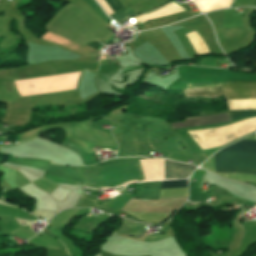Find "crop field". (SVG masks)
Instances as JSON below:
<instances>
[{"instance_id":"34b2d1b8","label":"crop field","mask_w":256,"mask_h":256,"mask_svg":"<svg viewBox=\"0 0 256 256\" xmlns=\"http://www.w3.org/2000/svg\"><path fill=\"white\" fill-rule=\"evenodd\" d=\"M230 122L228 113L218 114L205 117H196V118H186L184 121L172 123L171 128H184V127H193V126H202L210 124H219Z\"/></svg>"},{"instance_id":"f4fd0767","label":"crop field","mask_w":256,"mask_h":256,"mask_svg":"<svg viewBox=\"0 0 256 256\" xmlns=\"http://www.w3.org/2000/svg\"><path fill=\"white\" fill-rule=\"evenodd\" d=\"M187 187V179L162 182L160 189Z\"/></svg>"},{"instance_id":"3316defc","label":"crop field","mask_w":256,"mask_h":256,"mask_svg":"<svg viewBox=\"0 0 256 256\" xmlns=\"http://www.w3.org/2000/svg\"><path fill=\"white\" fill-rule=\"evenodd\" d=\"M114 129V128H113Z\"/></svg>"},{"instance_id":"412701ff","label":"crop field","mask_w":256,"mask_h":256,"mask_svg":"<svg viewBox=\"0 0 256 256\" xmlns=\"http://www.w3.org/2000/svg\"><path fill=\"white\" fill-rule=\"evenodd\" d=\"M196 168L193 165L165 160V178L187 177Z\"/></svg>"},{"instance_id":"d8731c3e","label":"crop field","mask_w":256,"mask_h":256,"mask_svg":"<svg viewBox=\"0 0 256 256\" xmlns=\"http://www.w3.org/2000/svg\"><path fill=\"white\" fill-rule=\"evenodd\" d=\"M171 4H173V3L171 2V3L165 5V6L161 7V8H158V9L153 10V11H151V12H148V13H145V14H143V15H140V16L136 17V19H138V18H140V17H142V16H145V15H147V14L153 13V12H155V11H158V10H160V9H163V8H165V7H167V6L171 5Z\"/></svg>"},{"instance_id":"5a996713","label":"crop field","mask_w":256,"mask_h":256,"mask_svg":"<svg viewBox=\"0 0 256 256\" xmlns=\"http://www.w3.org/2000/svg\"><path fill=\"white\" fill-rule=\"evenodd\" d=\"M114 35H115V34H114ZM114 35H113V36H114ZM113 36L110 38V40L113 38ZM110 40H109V41H110ZM109 41H107V42H109ZM107 42H105V43H107Z\"/></svg>"},{"instance_id":"8a807250","label":"crop field","mask_w":256,"mask_h":256,"mask_svg":"<svg viewBox=\"0 0 256 256\" xmlns=\"http://www.w3.org/2000/svg\"><path fill=\"white\" fill-rule=\"evenodd\" d=\"M186 97L220 96L224 94L226 100L256 98V82H218L186 84ZM232 120L254 116L256 111L230 112Z\"/></svg>"},{"instance_id":"dd49c442","label":"crop field","mask_w":256,"mask_h":256,"mask_svg":"<svg viewBox=\"0 0 256 256\" xmlns=\"http://www.w3.org/2000/svg\"><path fill=\"white\" fill-rule=\"evenodd\" d=\"M132 15H134V13L129 8H125L124 10H122L110 17L118 23Z\"/></svg>"},{"instance_id":"e52e79f7","label":"crop field","mask_w":256,"mask_h":256,"mask_svg":"<svg viewBox=\"0 0 256 256\" xmlns=\"http://www.w3.org/2000/svg\"><path fill=\"white\" fill-rule=\"evenodd\" d=\"M113 13L123 8L118 0H104Z\"/></svg>"},{"instance_id":"ac0d7876","label":"crop field","mask_w":256,"mask_h":256,"mask_svg":"<svg viewBox=\"0 0 256 256\" xmlns=\"http://www.w3.org/2000/svg\"><path fill=\"white\" fill-rule=\"evenodd\" d=\"M256 153V142L240 141L216 154ZM216 171L221 173L256 174V154L249 155H214Z\"/></svg>"}]
</instances>
